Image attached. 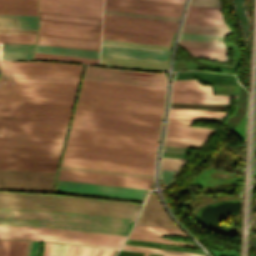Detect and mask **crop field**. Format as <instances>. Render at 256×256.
<instances>
[{"label": "crop field", "instance_id": "obj_63", "mask_svg": "<svg viewBox=\"0 0 256 256\" xmlns=\"http://www.w3.org/2000/svg\"><path fill=\"white\" fill-rule=\"evenodd\" d=\"M37 31H25V30H0V33H23V34H36Z\"/></svg>", "mask_w": 256, "mask_h": 256}, {"label": "crop field", "instance_id": "obj_46", "mask_svg": "<svg viewBox=\"0 0 256 256\" xmlns=\"http://www.w3.org/2000/svg\"><path fill=\"white\" fill-rule=\"evenodd\" d=\"M180 39L223 42L224 36L182 33Z\"/></svg>", "mask_w": 256, "mask_h": 256}, {"label": "crop field", "instance_id": "obj_69", "mask_svg": "<svg viewBox=\"0 0 256 256\" xmlns=\"http://www.w3.org/2000/svg\"><path fill=\"white\" fill-rule=\"evenodd\" d=\"M164 256H166V255H164Z\"/></svg>", "mask_w": 256, "mask_h": 256}, {"label": "crop field", "instance_id": "obj_47", "mask_svg": "<svg viewBox=\"0 0 256 256\" xmlns=\"http://www.w3.org/2000/svg\"><path fill=\"white\" fill-rule=\"evenodd\" d=\"M60 169L152 178V176H149V175L130 174V173L102 171V170H93V169H84V168H74V167H65V166H61Z\"/></svg>", "mask_w": 256, "mask_h": 256}, {"label": "crop field", "instance_id": "obj_9", "mask_svg": "<svg viewBox=\"0 0 256 256\" xmlns=\"http://www.w3.org/2000/svg\"><path fill=\"white\" fill-rule=\"evenodd\" d=\"M77 86L0 80V97L73 101Z\"/></svg>", "mask_w": 256, "mask_h": 256}, {"label": "crop field", "instance_id": "obj_12", "mask_svg": "<svg viewBox=\"0 0 256 256\" xmlns=\"http://www.w3.org/2000/svg\"><path fill=\"white\" fill-rule=\"evenodd\" d=\"M55 192L140 201L148 190L58 180Z\"/></svg>", "mask_w": 256, "mask_h": 256}, {"label": "crop field", "instance_id": "obj_25", "mask_svg": "<svg viewBox=\"0 0 256 256\" xmlns=\"http://www.w3.org/2000/svg\"><path fill=\"white\" fill-rule=\"evenodd\" d=\"M100 65L167 71V63L101 56Z\"/></svg>", "mask_w": 256, "mask_h": 256}, {"label": "crop field", "instance_id": "obj_28", "mask_svg": "<svg viewBox=\"0 0 256 256\" xmlns=\"http://www.w3.org/2000/svg\"><path fill=\"white\" fill-rule=\"evenodd\" d=\"M104 6L156 11V12H166V13H176V14H180L183 8L179 6H169V5L119 1V0H105Z\"/></svg>", "mask_w": 256, "mask_h": 256}, {"label": "crop field", "instance_id": "obj_40", "mask_svg": "<svg viewBox=\"0 0 256 256\" xmlns=\"http://www.w3.org/2000/svg\"><path fill=\"white\" fill-rule=\"evenodd\" d=\"M206 140L167 137L165 145L200 149Z\"/></svg>", "mask_w": 256, "mask_h": 256}, {"label": "crop field", "instance_id": "obj_54", "mask_svg": "<svg viewBox=\"0 0 256 256\" xmlns=\"http://www.w3.org/2000/svg\"><path fill=\"white\" fill-rule=\"evenodd\" d=\"M68 245L53 243L50 256H65Z\"/></svg>", "mask_w": 256, "mask_h": 256}, {"label": "crop field", "instance_id": "obj_33", "mask_svg": "<svg viewBox=\"0 0 256 256\" xmlns=\"http://www.w3.org/2000/svg\"><path fill=\"white\" fill-rule=\"evenodd\" d=\"M226 112H211V111H199V110H187V109H175L170 108L169 118H181V119H202V120H214L220 121L210 116L223 118Z\"/></svg>", "mask_w": 256, "mask_h": 256}, {"label": "crop field", "instance_id": "obj_44", "mask_svg": "<svg viewBox=\"0 0 256 256\" xmlns=\"http://www.w3.org/2000/svg\"><path fill=\"white\" fill-rule=\"evenodd\" d=\"M104 13L178 22L179 18L104 10Z\"/></svg>", "mask_w": 256, "mask_h": 256}, {"label": "crop field", "instance_id": "obj_50", "mask_svg": "<svg viewBox=\"0 0 256 256\" xmlns=\"http://www.w3.org/2000/svg\"><path fill=\"white\" fill-rule=\"evenodd\" d=\"M0 5L37 7V0H0Z\"/></svg>", "mask_w": 256, "mask_h": 256}, {"label": "crop field", "instance_id": "obj_14", "mask_svg": "<svg viewBox=\"0 0 256 256\" xmlns=\"http://www.w3.org/2000/svg\"><path fill=\"white\" fill-rule=\"evenodd\" d=\"M80 93L164 101V89L83 81Z\"/></svg>", "mask_w": 256, "mask_h": 256}, {"label": "crop field", "instance_id": "obj_41", "mask_svg": "<svg viewBox=\"0 0 256 256\" xmlns=\"http://www.w3.org/2000/svg\"><path fill=\"white\" fill-rule=\"evenodd\" d=\"M36 35L0 34V43L35 44Z\"/></svg>", "mask_w": 256, "mask_h": 256}, {"label": "crop field", "instance_id": "obj_38", "mask_svg": "<svg viewBox=\"0 0 256 256\" xmlns=\"http://www.w3.org/2000/svg\"><path fill=\"white\" fill-rule=\"evenodd\" d=\"M132 232L148 234V235H155V236H184V237H187L179 229L152 227V226L136 225Z\"/></svg>", "mask_w": 256, "mask_h": 256}, {"label": "crop field", "instance_id": "obj_10", "mask_svg": "<svg viewBox=\"0 0 256 256\" xmlns=\"http://www.w3.org/2000/svg\"><path fill=\"white\" fill-rule=\"evenodd\" d=\"M162 106L159 102L80 94L76 107L161 116Z\"/></svg>", "mask_w": 256, "mask_h": 256}, {"label": "crop field", "instance_id": "obj_42", "mask_svg": "<svg viewBox=\"0 0 256 256\" xmlns=\"http://www.w3.org/2000/svg\"><path fill=\"white\" fill-rule=\"evenodd\" d=\"M122 249L145 251V252H154V253H163V254H168L169 256H206V255H201V254H193V253H185V252H177V251H169V250L147 248V247H138V246H129V245H124Z\"/></svg>", "mask_w": 256, "mask_h": 256}, {"label": "crop field", "instance_id": "obj_60", "mask_svg": "<svg viewBox=\"0 0 256 256\" xmlns=\"http://www.w3.org/2000/svg\"><path fill=\"white\" fill-rule=\"evenodd\" d=\"M116 250L99 248L96 256H113Z\"/></svg>", "mask_w": 256, "mask_h": 256}, {"label": "crop field", "instance_id": "obj_45", "mask_svg": "<svg viewBox=\"0 0 256 256\" xmlns=\"http://www.w3.org/2000/svg\"><path fill=\"white\" fill-rule=\"evenodd\" d=\"M1 14H25V15H37V8H25V7H1Z\"/></svg>", "mask_w": 256, "mask_h": 256}, {"label": "crop field", "instance_id": "obj_65", "mask_svg": "<svg viewBox=\"0 0 256 256\" xmlns=\"http://www.w3.org/2000/svg\"><path fill=\"white\" fill-rule=\"evenodd\" d=\"M52 243L46 242L43 256H49Z\"/></svg>", "mask_w": 256, "mask_h": 256}, {"label": "crop field", "instance_id": "obj_17", "mask_svg": "<svg viewBox=\"0 0 256 256\" xmlns=\"http://www.w3.org/2000/svg\"><path fill=\"white\" fill-rule=\"evenodd\" d=\"M2 72L79 77L81 67L66 63L9 62L1 60Z\"/></svg>", "mask_w": 256, "mask_h": 256}, {"label": "crop field", "instance_id": "obj_49", "mask_svg": "<svg viewBox=\"0 0 256 256\" xmlns=\"http://www.w3.org/2000/svg\"><path fill=\"white\" fill-rule=\"evenodd\" d=\"M102 43L169 50L170 47L102 39Z\"/></svg>", "mask_w": 256, "mask_h": 256}, {"label": "crop field", "instance_id": "obj_52", "mask_svg": "<svg viewBox=\"0 0 256 256\" xmlns=\"http://www.w3.org/2000/svg\"><path fill=\"white\" fill-rule=\"evenodd\" d=\"M180 45L225 48L224 43L180 40Z\"/></svg>", "mask_w": 256, "mask_h": 256}, {"label": "crop field", "instance_id": "obj_32", "mask_svg": "<svg viewBox=\"0 0 256 256\" xmlns=\"http://www.w3.org/2000/svg\"><path fill=\"white\" fill-rule=\"evenodd\" d=\"M0 79L78 84L79 78L2 73Z\"/></svg>", "mask_w": 256, "mask_h": 256}, {"label": "crop field", "instance_id": "obj_34", "mask_svg": "<svg viewBox=\"0 0 256 256\" xmlns=\"http://www.w3.org/2000/svg\"><path fill=\"white\" fill-rule=\"evenodd\" d=\"M172 93L212 94V88L201 86L196 80H174Z\"/></svg>", "mask_w": 256, "mask_h": 256}, {"label": "crop field", "instance_id": "obj_31", "mask_svg": "<svg viewBox=\"0 0 256 256\" xmlns=\"http://www.w3.org/2000/svg\"><path fill=\"white\" fill-rule=\"evenodd\" d=\"M35 52L98 59L99 51L36 45Z\"/></svg>", "mask_w": 256, "mask_h": 256}, {"label": "crop field", "instance_id": "obj_56", "mask_svg": "<svg viewBox=\"0 0 256 256\" xmlns=\"http://www.w3.org/2000/svg\"><path fill=\"white\" fill-rule=\"evenodd\" d=\"M190 5L220 7L218 0H190Z\"/></svg>", "mask_w": 256, "mask_h": 256}, {"label": "crop field", "instance_id": "obj_59", "mask_svg": "<svg viewBox=\"0 0 256 256\" xmlns=\"http://www.w3.org/2000/svg\"><path fill=\"white\" fill-rule=\"evenodd\" d=\"M31 244L32 242L29 241L27 256L30 255ZM39 245L40 242H33L30 256H38Z\"/></svg>", "mask_w": 256, "mask_h": 256}, {"label": "crop field", "instance_id": "obj_4", "mask_svg": "<svg viewBox=\"0 0 256 256\" xmlns=\"http://www.w3.org/2000/svg\"><path fill=\"white\" fill-rule=\"evenodd\" d=\"M158 136L71 127L70 148L154 156Z\"/></svg>", "mask_w": 256, "mask_h": 256}, {"label": "crop field", "instance_id": "obj_13", "mask_svg": "<svg viewBox=\"0 0 256 256\" xmlns=\"http://www.w3.org/2000/svg\"><path fill=\"white\" fill-rule=\"evenodd\" d=\"M177 24L104 14L103 29L172 37Z\"/></svg>", "mask_w": 256, "mask_h": 256}, {"label": "crop field", "instance_id": "obj_23", "mask_svg": "<svg viewBox=\"0 0 256 256\" xmlns=\"http://www.w3.org/2000/svg\"><path fill=\"white\" fill-rule=\"evenodd\" d=\"M183 125H191V121L169 119L167 136L208 139L210 134L214 132V129L210 128Z\"/></svg>", "mask_w": 256, "mask_h": 256}, {"label": "crop field", "instance_id": "obj_57", "mask_svg": "<svg viewBox=\"0 0 256 256\" xmlns=\"http://www.w3.org/2000/svg\"><path fill=\"white\" fill-rule=\"evenodd\" d=\"M12 240H0V256H10Z\"/></svg>", "mask_w": 256, "mask_h": 256}, {"label": "crop field", "instance_id": "obj_24", "mask_svg": "<svg viewBox=\"0 0 256 256\" xmlns=\"http://www.w3.org/2000/svg\"><path fill=\"white\" fill-rule=\"evenodd\" d=\"M100 41L38 34L37 44L99 50Z\"/></svg>", "mask_w": 256, "mask_h": 256}, {"label": "crop field", "instance_id": "obj_3", "mask_svg": "<svg viewBox=\"0 0 256 256\" xmlns=\"http://www.w3.org/2000/svg\"><path fill=\"white\" fill-rule=\"evenodd\" d=\"M68 120L0 116V146L61 149Z\"/></svg>", "mask_w": 256, "mask_h": 256}, {"label": "crop field", "instance_id": "obj_48", "mask_svg": "<svg viewBox=\"0 0 256 256\" xmlns=\"http://www.w3.org/2000/svg\"><path fill=\"white\" fill-rule=\"evenodd\" d=\"M188 160L162 157L161 168L179 170L181 165Z\"/></svg>", "mask_w": 256, "mask_h": 256}, {"label": "crop field", "instance_id": "obj_1", "mask_svg": "<svg viewBox=\"0 0 256 256\" xmlns=\"http://www.w3.org/2000/svg\"><path fill=\"white\" fill-rule=\"evenodd\" d=\"M134 219L43 210L0 208V224L126 235Z\"/></svg>", "mask_w": 256, "mask_h": 256}, {"label": "crop field", "instance_id": "obj_35", "mask_svg": "<svg viewBox=\"0 0 256 256\" xmlns=\"http://www.w3.org/2000/svg\"><path fill=\"white\" fill-rule=\"evenodd\" d=\"M34 45L3 44L1 58L7 59H32Z\"/></svg>", "mask_w": 256, "mask_h": 256}, {"label": "crop field", "instance_id": "obj_61", "mask_svg": "<svg viewBox=\"0 0 256 256\" xmlns=\"http://www.w3.org/2000/svg\"><path fill=\"white\" fill-rule=\"evenodd\" d=\"M0 100H16V101H32V102H48V103H64V104H72L73 102H63V101H43V100H23V99H3Z\"/></svg>", "mask_w": 256, "mask_h": 256}, {"label": "crop field", "instance_id": "obj_7", "mask_svg": "<svg viewBox=\"0 0 256 256\" xmlns=\"http://www.w3.org/2000/svg\"><path fill=\"white\" fill-rule=\"evenodd\" d=\"M126 236L52 229L0 225V238L37 239L119 248Z\"/></svg>", "mask_w": 256, "mask_h": 256}, {"label": "crop field", "instance_id": "obj_53", "mask_svg": "<svg viewBox=\"0 0 256 256\" xmlns=\"http://www.w3.org/2000/svg\"><path fill=\"white\" fill-rule=\"evenodd\" d=\"M178 171L161 169V181L166 187H170Z\"/></svg>", "mask_w": 256, "mask_h": 256}, {"label": "crop field", "instance_id": "obj_5", "mask_svg": "<svg viewBox=\"0 0 256 256\" xmlns=\"http://www.w3.org/2000/svg\"><path fill=\"white\" fill-rule=\"evenodd\" d=\"M154 157L66 148L61 165L153 175Z\"/></svg>", "mask_w": 256, "mask_h": 256}, {"label": "crop field", "instance_id": "obj_36", "mask_svg": "<svg viewBox=\"0 0 256 256\" xmlns=\"http://www.w3.org/2000/svg\"><path fill=\"white\" fill-rule=\"evenodd\" d=\"M39 19L101 26V19L97 18L39 12Z\"/></svg>", "mask_w": 256, "mask_h": 256}, {"label": "crop field", "instance_id": "obj_15", "mask_svg": "<svg viewBox=\"0 0 256 256\" xmlns=\"http://www.w3.org/2000/svg\"><path fill=\"white\" fill-rule=\"evenodd\" d=\"M54 174L0 169V189L50 192Z\"/></svg>", "mask_w": 256, "mask_h": 256}, {"label": "crop field", "instance_id": "obj_11", "mask_svg": "<svg viewBox=\"0 0 256 256\" xmlns=\"http://www.w3.org/2000/svg\"><path fill=\"white\" fill-rule=\"evenodd\" d=\"M88 81L129 84L164 88L162 74L87 66L84 79Z\"/></svg>", "mask_w": 256, "mask_h": 256}, {"label": "crop field", "instance_id": "obj_43", "mask_svg": "<svg viewBox=\"0 0 256 256\" xmlns=\"http://www.w3.org/2000/svg\"><path fill=\"white\" fill-rule=\"evenodd\" d=\"M34 59L98 64V60L35 53Z\"/></svg>", "mask_w": 256, "mask_h": 256}, {"label": "crop field", "instance_id": "obj_67", "mask_svg": "<svg viewBox=\"0 0 256 256\" xmlns=\"http://www.w3.org/2000/svg\"><path fill=\"white\" fill-rule=\"evenodd\" d=\"M152 255H153V254H151V253L149 254V256H152ZM153 256H154V255H153ZM156 256H160V255L157 254ZM161 256H163V255H161Z\"/></svg>", "mask_w": 256, "mask_h": 256}, {"label": "crop field", "instance_id": "obj_30", "mask_svg": "<svg viewBox=\"0 0 256 256\" xmlns=\"http://www.w3.org/2000/svg\"><path fill=\"white\" fill-rule=\"evenodd\" d=\"M226 97L236 96L172 94L171 103L229 104Z\"/></svg>", "mask_w": 256, "mask_h": 256}, {"label": "crop field", "instance_id": "obj_58", "mask_svg": "<svg viewBox=\"0 0 256 256\" xmlns=\"http://www.w3.org/2000/svg\"><path fill=\"white\" fill-rule=\"evenodd\" d=\"M104 9L118 10V11H127V12H137V13H146V14H156V15H165V16H175V17H179L180 16V15H176V14L156 13V12L137 11V10L118 9V8H108V7H104Z\"/></svg>", "mask_w": 256, "mask_h": 256}, {"label": "crop field", "instance_id": "obj_21", "mask_svg": "<svg viewBox=\"0 0 256 256\" xmlns=\"http://www.w3.org/2000/svg\"><path fill=\"white\" fill-rule=\"evenodd\" d=\"M169 51L102 44L101 55L167 62Z\"/></svg>", "mask_w": 256, "mask_h": 256}, {"label": "crop field", "instance_id": "obj_29", "mask_svg": "<svg viewBox=\"0 0 256 256\" xmlns=\"http://www.w3.org/2000/svg\"><path fill=\"white\" fill-rule=\"evenodd\" d=\"M37 16L0 15V29L37 30Z\"/></svg>", "mask_w": 256, "mask_h": 256}, {"label": "crop field", "instance_id": "obj_22", "mask_svg": "<svg viewBox=\"0 0 256 256\" xmlns=\"http://www.w3.org/2000/svg\"><path fill=\"white\" fill-rule=\"evenodd\" d=\"M136 224L177 228L165 214L155 194L149 195Z\"/></svg>", "mask_w": 256, "mask_h": 256}, {"label": "crop field", "instance_id": "obj_51", "mask_svg": "<svg viewBox=\"0 0 256 256\" xmlns=\"http://www.w3.org/2000/svg\"><path fill=\"white\" fill-rule=\"evenodd\" d=\"M28 241L13 240L11 256H26Z\"/></svg>", "mask_w": 256, "mask_h": 256}, {"label": "crop field", "instance_id": "obj_2", "mask_svg": "<svg viewBox=\"0 0 256 256\" xmlns=\"http://www.w3.org/2000/svg\"><path fill=\"white\" fill-rule=\"evenodd\" d=\"M141 204L0 191V207L27 208L135 218Z\"/></svg>", "mask_w": 256, "mask_h": 256}, {"label": "crop field", "instance_id": "obj_18", "mask_svg": "<svg viewBox=\"0 0 256 256\" xmlns=\"http://www.w3.org/2000/svg\"><path fill=\"white\" fill-rule=\"evenodd\" d=\"M39 11L101 18L102 0H39Z\"/></svg>", "mask_w": 256, "mask_h": 256}, {"label": "crop field", "instance_id": "obj_66", "mask_svg": "<svg viewBox=\"0 0 256 256\" xmlns=\"http://www.w3.org/2000/svg\"><path fill=\"white\" fill-rule=\"evenodd\" d=\"M162 1H172V2H180V3L184 2V0H162Z\"/></svg>", "mask_w": 256, "mask_h": 256}, {"label": "crop field", "instance_id": "obj_8", "mask_svg": "<svg viewBox=\"0 0 256 256\" xmlns=\"http://www.w3.org/2000/svg\"><path fill=\"white\" fill-rule=\"evenodd\" d=\"M61 150L0 147V168L55 172Z\"/></svg>", "mask_w": 256, "mask_h": 256}, {"label": "crop field", "instance_id": "obj_16", "mask_svg": "<svg viewBox=\"0 0 256 256\" xmlns=\"http://www.w3.org/2000/svg\"><path fill=\"white\" fill-rule=\"evenodd\" d=\"M72 105L0 101V115L69 118Z\"/></svg>", "mask_w": 256, "mask_h": 256}, {"label": "crop field", "instance_id": "obj_55", "mask_svg": "<svg viewBox=\"0 0 256 256\" xmlns=\"http://www.w3.org/2000/svg\"><path fill=\"white\" fill-rule=\"evenodd\" d=\"M98 248L79 246L76 256H95Z\"/></svg>", "mask_w": 256, "mask_h": 256}, {"label": "crop field", "instance_id": "obj_27", "mask_svg": "<svg viewBox=\"0 0 256 256\" xmlns=\"http://www.w3.org/2000/svg\"><path fill=\"white\" fill-rule=\"evenodd\" d=\"M184 23L225 26L219 10L189 8Z\"/></svg>", "mask_w": 256, "mask_h": 256}, {"label": "crop field", "instance_id": "obj_62", "mask_svg": "<svg viewBox=\"0 0 256 256\" xmlns=\"http://www.w3.org/2000/svg\"><path fill=\"white\" fill-rule=\"evenodd\" d=\"M141 252L125 251L121 250L118 256H142Z\"/></svg>", "mask_w": 256, "mask_h": 256}, {"label": "crop field", "instance_id": "obj_39", "mask_svg": "<svg viewBox=\"0 0 256 256\" xmlns=\"http://www.w3.org/2000/svg\"><path fill=\"white\" fill-rule=\"evenodd\" d=\"M182 32L217 34V35H226L230 33L228 27L191 25V24H184Z\"/></svg>", "mask_w": 256, "mask_h": 256}, {"label": "crop field", "instance_id": "obj_37", "mask_svg": "<svg viewBox=\"0 0 256 256\" xmlns=\"http://www.w3.org/2000/svg\"><path fill=\"white\" fill-rule=\"evenodd\" d=\"M194 57L227 62L225 49L182 46Z\"/></svg>", "mask_w": 256, "mask_h": 256}, {"label": "crop field", "instance_id": "obj_6", "mask_svg": "<svg viewBox=\"0 0 256 256\" xmlns=\"http://www.w3.org/2000/svg\"><path fill=\"white\" fill-rule=\"evenodd\" d=\"M161 117L76 108L75 127L158 135Z\"/></svg>", "mask_w": 256, "mask_h": 256}, {"label": "crop field", "instance_id": "obj_20", "mask_svg": "<svg viewBox=\"0 0 256 256\" xmlns=\"http://www.w3.org/2000/svg\"><path fill=\"white\" fill-rule=\"evenodd\" d=\"M38 33L100 40L101 27L39 20Z\"/></svg>", "mask_w": 256, "mask_h": 256}, {"label": "crop field", "instance_id": "obj_19", "mask_svg": "<svg viewBox=\"0 0 256 256\" xmlns=\"http://www.w3.org/2000/svg\"><path fill=\"white\" fill-rule=\"evenodd\" d=\"M58 179L149 189L152 179L60 170Z\"/></svg>", "mask_w": 256, "mask_h": 256}, {"label": "crop field", "instance_id": "obj_68", "mask_svg": "<svg viewBox=\"0 0 256 256\" xmlns=\"http://www.w3.org/2000/svg\"><path fill=\"white\" fill-rule=\"evenodd\" d=\"M148 255V253H145V255L144 256H147Z\"/></svg>", "mask_w": 256, "mask_h": 256}, {"label": "crop field", "instance_id": "obj_64", "mask_svg": "<svg viewBox=\"0 0 256 256\" xmlns=\"http://www.w3.org/2000/svg\"><path fill=\"white\" fill-rule=\"evenodd\" d=\"M129 1H139V2H149V3H159V4H169V5L183 6V4H179V3H169V2H159V1H149V0H129Z\"/></svg>", "mask_w": 256, "mask_h": 256}, {"label": "crop field", "instance_id": "obj_26", "mask_svg": "<svg viewBox=\"0 0 256 256\" xmlns=\"http://www.w3.org/2000/svg\"><path fill=\"white\" fill-rule=\"evenodd\" d=\"M102 38L170 46L172 38L103 30Z\"/></svg>", "mask_w": 256, "mask_h": 256}]
</instances>
